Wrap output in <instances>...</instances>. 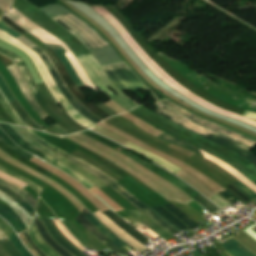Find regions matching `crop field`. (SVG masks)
Wrapping results in <instances>:
<instances>
[{
  "label": "crop field",
  "mask_w": 256,
  "mask_h": 256,
  "mask_svg": "<svg viewBox=\"0 0 256 256\" xmlns=\"http://www.w3.org/2000/svg\"><path fill=\"white\" fill-rule=\"evenodd\" d=\"M0 53L7 56L9 59H11L13 62H15L20 67V69L22 70V72L32 90L33 95L35 96V98L37 99V101L39 102L41 107H43V109L49 114V116H51L56 123H58L60 126L65 128L71 134L74 132H78L76 129H74L69 124H67L62 119H60L56 115L54 110L49 106V104H47L46 100L41 95V93L37 87V84L33 79L31 71H30L28 65L25 63V61L23 59H21L20 57H18L16 54H14L8 50H5L1 47H0Z\"/></svg>",
  "instance_id": "crop-field-4"
},
{
  "label": "crop field",
  "mask_w": 256,
  "mask_h": 256,
  "mask_svg": "<svg viewBox=\"0 0 256 256\" xmlns=\"http://www.w3.org/2000/svg\"><path fill=\"white\" fill-rule=\"evenodd\" d=\"M45 226L47 227L49 233L55 238V240L60 243L64 248H66L69 252H71L75 256H83L78 251H76L74 248H72L66 240L56 231V229L51 224L50 220H43Z\"/></svg>",
  "instance_id": "crop-field-23"
},
{
  "label": "crop field",
  "mask_w": 256,
  "mask_h": 256,
  "mask_svg": "<svg viewBox=\"0 0 256 256\" xmlns=\"http://www.w3.org/2000/svg\"><path fill=\"white\" fill-rule=\"evenodd\" d=\"M0 89L3 92V94L6 96V98H12L14 97L10 89L8 88L7 84L3 80V78L0 75ZM13 108L16 110L17 114L24 120V122L28 125H30L31 128L37 129V130H43L40 128L36 123H34L29 116L26 114V112L21 108V106L17 103L16 99H9L8 100ZM44 131V130H43Z\"/></svg>",
  "instance_id": "crop-field-14"
},
{
  "label": "crop field",
  "mask_w": 256,
  "mask_h": 256,
  "mask_svg": "<svg viewBox=\"0 0 256 256\" xmlns=\"http://www.w3.org/2000/svg\"><path fill=\"white\" fill-rule=\"evenodd\" d=\"M68 30H70L79 40H81L88 48L91 49H101L87 34H85L81 29L72 24L63 16L54 18Z\"/></svg>",
  "instance_id": "crop-field-16"
},
{
  "label": "crop field",
  "mask_w": 256,
  "mask_h": 256,
  "mask_svg": "<svg viewBox=\"0 0 256 256\" xmlns=\"http://www.w3.org/2000/svg\"><path fill=\"white\" fill-rule=\"evenodd\" d=\"M234 185L237 186L242 192H244L251 199L256 196L254 192H252L249 188L244 186L242 183L237 182V183H234Z\"/></svg>",
  "instance_id": "crop-field-38"
},
{
  "label": "crop field",
  "mask_w": 256,
  "mask_h": 256,
  "mask_svg": "<svg viewBox=\"0 0 256 256\" xmlns=\"http://www.w3.org/2000/svg\"><path fill=\"white\" fill-rule=\"evenodd\" d=\"M53 222V220H51ZM54 226L57 228V226L55 225V223L53 222ZM58 230V228H57ZM59 231V230H58ZM60 232V231H59ZM62 235V234H61ZM63 236V235H62ZM64 237V236H63ZM65 238V237H64ZM66 239V238H65ZM67 240V239H66ZM68 242H70L69 240H67ZM71 243V242H70ZM72 244V243H71ZM74 247H76L74 244H72ZM77 248V247H76ZM79 251H81L79 248H77ZM82 252V251H81ZM83 253V252H82ZM84 254V253H83ZM85 255V254H84ZM87 256V255H85Z\"/></svg>",
  "instance_id": "crop-field-50"
},
{
  "label": "crop field",
  "mask_w": 256,
  "mask_h": 256,
  "mask_svg": "<svg viewBox=\"0 0 256 256\" xmlns=\"http://www.w3.org/2000/svg\"><path fill=\"white\" fill-rule=\"evenodd\" d=\"M4 22H6L8 25H10L11 27H13L14 29H16L17 31H19L20 33L24 34L25 31L24 29H22L21 27H19L17 24H15L11 19H9L6 15H4V17L2 18Z\"/></svg>",
  "instance_id": "crop-field-40"
},
{
  "label": "crop field",
  "mask_w": 256,
  "mask_h": 256,
  "mask_svg": "<svg viewBox=\"0 0 256 256\" xmlns=\"http://www.w3.org/2000/svg\"><path fill=\"white\" fill-rule=\"evenodd\" d=\"M226 253V252H225ZM227 255H229L228 253H226ZM230 256V255H229Z\"/></svg>",
  "instance_id": "crop-field-55"
},
{
  "label": "crop field",
  "mask_w": 256,
  "mask_h": 256,
  "mask_svg": "<svg viewBox=\"0 0 256 256\" xmlns=\"http://www.w3.org/2000/svg\"><path fill=\"white\" fill-rule=\"evenodd\" d=\"M193 254L194 256H203L200 250H196L195 252H193Z\"/></svg>",
  "instance_id": "crop-field-52"
},
{
  "label": "crop field",
  "mask_w": 256,
  "mask_h": 256,
  "mask_svg": "<svg viewBox=\"0 0 256 256\" xmlns=\"http://www.w3.org/2000/svg\"><path fill=\"white\" fill-rule=\"evenodd\" d=\"M222 197H224L227 201H229L231 204L238 201L236 198H234L230 193L226 192H222L219 193Z\"/></svg>",
  "instance_id": "crop-field-43"
},
{
  "label": "crop field",
  "mask_w": 256,
  "mask_h": 256,
  "mask_svg": "<svg viewBox=\"0 0 256 256\" xmlns=\"http://www.w3.org/2000/svg\"><path fill=\"white\" fill-rule=\"evenodd\" d=\"M102 222H104L110 229L117 233L121 238H123L128 244L139 250L140 252L146 250L147 248L140 244L137 240L131 237L128 233L122 230L119 226L108 219L102 212L98 211L94 213Z\"/></svg>",
  "instance_id": "crop-field-13"
},
{
  "label": "crop field",
  "mask_w": 256,
  "mask_h": 256,
  "mask_svg": "<svg viewBox=\"0 0 256 256\" xmlns=\"http://www.w3.org/2000/svg\"><path fill=\"white\" fill-rule=\"evenodd\" d=\"M0 171H2V172H4V173H7V174H9V175H11V176H13V177H15V178L21 180V181H24V182L30 184L31 186H33V187H34L37 191H39V192H41V191L43 190V189H41L39 186H37L36 184H34V183H32V182H30V181H28V180H26V179H24V178H22V177H20V176H18V175H16V174H14V173H12V172H10V171L4 169V168L1 167V166H0Z\"/></svg>",
  "instance_id": "crop-field-37"
},
{
  "label": "crop field",
  "mask_w": 256,
  "mask_h": 256,
  "mask_svg": "<svg viewBox=\"0 0 256 256\" xmlns=\"http://www.w3.org/2000/svg\"><path fill=\"white\" fill-rule=\"evenodd\" d=\"M44 51L46 52L47 55L50 56L51 60L53 61V63L55 64V66L57 67V69L59 70V72L61 73L62 77L64 78V80L66 81L69 89L73 92V94L91 111L93 112L95 115L101 117L103 120L110 117L109 115H107L105 112H103L101 109H99L97 106H95L93 103L92 104H86L83 101L87 98L82 92L81 90L75 85V83L73 82L70 74L68 73V71L66 70V68L64 67V65L61 63V61L58 59L57 55L48 47L46 49H44Z\"/></svg>",
  "instance_id": "crop-field-8"
},
{
  "label": "crop field",
  "mask_w": 256,
  "mask_h": 256,
  "mask_svg": "<svg viewBox=\"0 0 256 256\" xmlns=\"http://www.w3.org/2000/svg\"><path fill=\"white\" fill-rule=\"evenodd\" d=\"M53 51L58 55L59 59L62 61V63L65 65V67L67 68V70L69 71V73L71 74L72 78L74 79V81L76 82V84L78 85V87L84 85L83 82L80 80V78L78 77V75L75 73V69L73 70L70 62L68 61L66 55L64 53H66V50L63 48V46H58V45H49Z\"/></svg>",
  "instance_id": "crop-field-19"
},
{
  "label": "crop field",
  "mask_w": 256,
  "mask_h": 256,
  "mask_svg": "<svg viewBox=\"0 0 256 256\" xmlns=\"http://www.w3.org/2000/svg\"><path fill=\"white\" fill-rule=\"evenodd\" d=\"M0 214L12 223V225L15 227L18 233L27 230L21 218L14 210L8 209L0 205Z\"/></svg>",
  "instance_id": "crop-field-20"
},
{
  "label": "crop field",
  "mask_w": 256,
  "mask_h": 256,
  "mask_svg": "<svg viewBox=\"0 0 256 256\" xmlns=\"http://www.w3.org/2000/svg\"><path fill=\"white\" fill-rule=\"evenodd\" d=\"M0 199L5 201L6 203L17 205L8 195L0 191Z\"/></svg>",
  "instance_id": "crop-field-44"
},
{
  "label": "crop field",
  "mask_w": 256,
  "mask_h": 256,
  "mask_svg": "<svg viewBox=\"0 0 256 256\" xmlns=\"http://www.w3.org/2000/svg\"><path fill=\"white\" fill-rule=\"evenodd\" d=\"M233 196H235L237 199H239L233 192H231L230 190H228ZM242 203L244 202V201H242L241 199H239Z\"/></svg>",
  "instance_id": "crop-field-54"
},
{
  "label": "crop field",
  "mask_w": 256,
  "mask_h": 256,
  "mask_svg": "<svg viewBox=\"0 0 256 256\" xmlns=\"http://www.w3.org/2000/svg\"><path fill=\"white\" fill-rule=\"evenodd\" d=\"M76 219L80 221L98 240H100L110 250L129 256L126 252H124L107 237H105L98 229H96L82 214H80Z\"/></svg>",
  "instance_id": "crop-field-15"
},
{
  "label": "crop field",
  "mask_w": 256,
  "mask_h": 256,
  "mask_svg": "<svg viewBox=\"0 0 256 256\" xmlns=\"http://www.w3.org/2000/svg\"><path fill=\"white\" fill-rule=\"evenodd\" d=\"M0 102L2 103V105L4 106L5 110L8 112V114L11 116V118L18 124L21 126H25L27 127L17 116V114L13 111V109L10 107V105L8 104L6 98L4 97V95L1 93L0 91Z\"/></svg>",
  "instance_id": "crop-field-34"
},
{
  "label": "crop field",
  "mask_w": 256,
  "mask_h": 256,
  "mask_svg": "<svg viewBox=\"0 0 256 256\" xmlns=\"http://www.w3.org/2000/svg\"><path fill=\"white\" fill-rule=\"evenodd\" d=\"M10 126L27 143L30 144V143L34 142L18 126H13V125H10ZM31 145L36 147L38 150H40V151H42V152H44V153L54 157L56 160H59V161L65 163L66 165L70 166L71 168H73L74 170H76L77 172H79L80 174L85 176L87 179H89L93 184H95L100 189L105 188V187L108 186L102 180H100L98 177H96L95 175H93L89 171H87V170L83 169L82 167L74 164L73 162L69 161L68 159L64 158L63 156H61V155H59V154L49 150L48 148L44 147L43 145L38 144L36 141L34 143H32Z\"/></svg>",
  "instance_id": "crop-field-7"
},
{
  "label": "crop field",
  "mask_w": 256,
  "mask_h": 256,
  "mask_svg": "<svg viewBox=\"0 0 256 256\" xmlns=\"http://www.w3.org/2000/svg\"><path fill=\"white\" fill-rule=\"evenodd\" d=\"M53 127L54 130H56L58 133H60L61 135H69L65 130H63L61 127H59L58 125H51Z\"/></svg>",
  "instance_id": "crop-field-47"
},
{
  "label": "crop field",
  "mask_w": 256,
  "mask_h": 256,
  "mask_svg": "<svg viewBox=\"0 0 256 256\" xmlns=\"http://www.w3.org/2000/svg\"><path fill=\"white\" fill-rule=\"evenodd\" d=\"M164 207H166L168 210H170L173 214H175L178 218H180L183 222H185L192 229L199 226V224H197L195 221H193L191 218H189L187 215H185L183 212H181L179 209H177L171 203Z\"/></svg>",
  "instance_id": "crop-field-30"
},
{
  "label": "crop field",
  "mask_w": 256,
  "mask_h": 256,
  "mask_svg": "<svg viewBox=\"0 0 256 256\" xmlns=\"http://www.w3.org/2000/svg\"><path fill=\"white\" fill-rule=\"evenodd\" d=\"M100 108H102L104 111H106L108 114L114 116L117 115V113H115L113 110H111L109 107H107L105 104L103 103H98L97 104Z\"/></svg>",
  "instance_id": "crop-field-45"
},
{
  "label": "crop field",
  "mask_w": 256,
  "mask_h": 256,
  "mask_svg": "<svg viewBox=\"0 0 256 256\" xmlns=\"http://www.w3.org/2000/svg\"><path fill=\"white\" fill-rule=\"evenodd\" d=\"M110 78L122 90L148 89L142 81L137 78L122 59L101 64Z\"/></svg>",
  "instance_id": "crop-field-5"
},
{
  "label": "crop field",
  "mask_w": 256,
  "mask_h": 256,
  "mask_svg": "<svg viewBox=\"0 0 256 256\" xmlns=\"http://www.w3.org/2000/svg\"><path fill=\"white\" fill-rule=\"evenodd\" d=\"M0 183L14 189L17 193L21 194L34 208H36L37 201L34 198H32L28 193H26L24 190L2 179H0Z\"/></svg>",
  "instance_id": "crop-field-33"
},
{
  "label": "crop field",
  "mask_w": 256,
  "mask_h": 256,
  "mask_svg": "<svg viewBox=\"0 0 256 256\" xmlns=\"http://www.w3.org/2000/svg\"><path fill=\"white\" fill-rule=\"evenodd\" d=\"M84 216L92 215L87 209L82 212Z\"/></svg>",
  "instance_id": "crop-field-53"
},
{
  "label": "crop field",
  "mask_w": 256,
  "mask_h": 256,
  "mask_svg": "<svg viewBox=\"0 0 256 256\" xmlns=\"http://www.w3.org/2000/svg\"><path fill=\"white\" fill-rule=\"evenodd\" d=\"M115 243L118 244L121 248H123L126 245L118 239L115 241Z\"/></svg>",
  "instance_id": "crop-field-51"
},
{
  "label": "crop field",
  "mask_w": 256,
  "mask_h": 256,
  "mask_svg": "<svg viewBox=\"0 0 256 256\" xmlns=\"http://www.w3.org/2000/svg\"><path fill=\"white\" fill-rule=\"evenodd\" d=\"M0 189H2L3 191H5L7 194H9L13 199H15L19 204H21L25 210L30 214V216L33 218L34 215V208L31 207L20 195L16 194L15 192H13L12 190L1 186L0 185Z\"/></svg>",
  "instance_id": "crop-field-29"
},
{
  "label": "crop field",
  "mask_w": 256,
  "mask_h": 256,
  "mask_svg": "<svg viewBox=\"0 0 256 256\" xmlns=\"http://www.w3.org/2000/svg\"><path fill=\"white\" fill-rule=\"evenodd\" d=\"M24 235H25V237L27 238V240L29 241V243L33 246V248L38 252V254H39L40 256H46V255H45L41 250H39V249L37 248V246L33 243V241L31 240V237H30L28 231L25 232Z\"/></svg>",
  "instance_id": "crop-field-42"
},
{
  "label": "crop field",
  "mask_w": 256,
  "mask_h": 256,
  "mask_svg": "<svg viewBox=\"0 0 256 256\" xmlns=\"http://www.w3.org/2000/svg\"><path fill=\"white\" fill-rule=\"evenodd\" d=\"M96 228H98L105 236H107L113 242L117 239L112 233H110L104 225L97 220L94 216L86 217Z\"/></svg>",
  "instance_id": "crop-field-35"
},
{
  "label": "crop field",
  "mask_w": 256,
  "mask_h": 256,
  "mask_svg": "<svg viewBox=\"0 0 256 256\" xmlns=\"http://www.w3.org/2000/svg\"><path fill=\"white\" fill-rule=\"evenodd\" d=\"M0 256H10L6 249L0 243Z\"/></svg>",
  "instance_id": "crop-field-48"
},
{
  "label": "crop field",
  "mask_w": 256,
  "mask_h": 256,
  "mask_svg": "<svg viewBox=\"0 0 256 256\" xmlns=\"http://www.w3.org/2000/svg\"><path fill=\"white\" fill-rule=\"evenodd\" d=\"M157 213H159L162 217H164L166 220H168L170 223H172L174 226H176L178 229H186L188 228L184 223H182L180 220H178L176 217H174L172 214H170L168 211H166L163 207L160 208H154Z\"/></svg>",
  "instance_id": "crop-field-28"
},
{
  "label": "crop field",
  "mask_w": 256,
  "mask_h": 256,
  "mask_svg": "<svg viewBox=\"0 0 256 256\" xmlns=\"http://www.w3.org/2000/svg\"><path fill=\"white\" fill-rule=\"evenodd\" d=\"M0 138L6 143V145L11 148L13 151L17 152L18 154L28 158L29 160L32 159L34 156L28 154L21 148L17 147L15 143L11 141V139L1 130L0 128Z\"/></svg>",
  "instance_id": "crop-field-31"
},
{
  "label": "crop field",
  "mask_w": 256,
  "mask_h": 256,
  "mask_svg": "<svg viewBox=\"0 0 256 256\" xmlns=\"http://www.w3.org/2000/svg\"><path fill=\"white\" fill-rule=\"evenodd\" d=\"M93 57L90 53H88L77 56V59L89 74L97 88L128 111L140 106L112 82L109 76ZM107 86L112 88L118 95L112 92Z\"/></svg>",
  "instance_id": "crop-field-3"
},
{
  "label": "crop field",
  "mask_w": 256,
  "mask_h": 256,
  "mask_svg": "<svg viewBox=\"0 0 256 256\" xmlns=\"http://www.w3.org/2000/svg\"><path fill=\"white\" fill-rule=\"evenodd\" d=\"M65 17L68 18L72 23L77 25L79 28H81L85 33H87L93 40H95L100 45L101 48L110 45L106 39L101 37L92 27H90L88 24H86L74 14L65 15Z\"/></svg>",
  "instance_id": "crop-field-17"
},
{
  "label": "crop field",
  "mask_w": 256,
  "mask_h": 256,
  "mask_svg": "<svg viewBox=\"0 0 256 256\" xmlns=\"http://www.w3.org/2000/svg\"><path fill=\"white\" fill-rule=\"evenodd\" d=\"M16 211V210H15ZM20 216L21 218L23 219L25 225L27 226V228L29 227L31 221L29 220V218L27 216H25L23 213L19 212V211H16ZM29 229V228H28Z\"/></svg>",
  "instance_id": "crop-field-46"
},
{
  "label": "crop field",
  "mask_w": 256,
  "mask_h": 256,
  "mask_svg": "<svg viewBox=\"0 0 256 256\" xmlns=\"http://www.w3.org/2000/svg\"><path fill=\"white\" fill-rule=\"evenodd\" d=\"M10 70L11 74L17 81L22 93L24 94L25 98L29 101V103L34 107V109L38 112V114L42 117L43 120L49 118L47 114L42 110L40 105L37 103L36 99L30 92L21 72L19 71L18 67L14 65L7 66Z\"/></svg>",
  "instance_id": "crop-field-12"
},
{
  "label": "crop field",
  "mask_w": 256,
  "mask_h": 256,
  "mask_svg": "<svg viewBox=\"0 0 256 256\" xmlns=\"http://www.w3.org/2000/svg\"><path fill=\"white\" fill-rule=\"evenodd\" d=\"M229 241L236 246L235 248L229 250V252L234 256H256V254L250 251L246 246H244L237 239L233 238Z\"/></svg>",
  "instance_id": "crop-field-27"
},
{
  "label": "crop field",
  "mask_w": 256,
  "mask_h": 256,
  "mask_svg": "<svg viewBox=\"0 0 256 256\" xmlns=\"http://www.w3.org/2000/svg\"><path fill=\"white\" fill-rule=\"evenodd\" d=\"M101 14L122 36L128 35L124 27L102 6L89 5Z\"/></svg>",
  "instance_id": "crop-field-24"
},
{
  "label": "crop field",
  "mask_w": 256,
  "mask_h": 256,
  "mask_svg": "<svg viewBox=\"0 0 256 256\" xmlns=\"http://www.w3.org/2000/svg\"><path fill=\"white\" fill-rule=\"evenodd\" d=\"M103 213L108 218H110L112 221H114L117 225H119L121 228H123L126 232H128L130 235H132L135 239H137L143 245L149 243L147 241L148 238H146L144 235H142L140 232H138L136 229H134L132 226H130L127 222H125L122 218H120L118 215H116L111 210L103 212Z\"/></svg>",
  "instance_id": "crop-field-18"
},
{
  "label": "crop field",
  "mask_w": 256,
  "mask_h": 256,
  "mask_svg": "<svg viewBox=\"0 0 256 256\" xmlns=\"http://www.w3.org/2000/svg\"><path fill=\"white\" fill-rule=\"evenodd\" d=\"M159 138H161V139H163V140H166V141H168V142H170V143H173V144L182 146V147H184V148H186V149H188V150H190V151H192V152H195V153H197V154L203 156V155L201 154V152L199 151V149H197V148H195V147H193V146H190V145H188V144H186V143H184V142H182V141H180V140H177V139H175V138H173V137H171V136H169V135H167V134H165V133H163V132L160 134Z\"/></svg>",
  "instance_id": "crop-field-32"
},
{
  "label": "crop field",
  "mask_w": 256,
  "mask_h": 256,
  "mask_svg": "<svg viewBox=\"0 0 256 256\" xmlns=\"http://www.w3.org/2000/svg\"><path fill=\"white\" fill-rule=\"evenodd\" d=\"M22 128V127H20ZM27 134H29L32 138H34L36 141L40 142L41 144L45 145L46 147L54 150L55 152L63 155L64 157L68 158L69 160L77 163L78 165L84 167L85 169L89 170L96 176H98L100 179H102L104 182H106L108 185H110L113 189H115L119 194H121L125 199H127L130 203H132L134 206L141 209L144 213H146L153 221H155L158 225H160L162 228H164L166 231L171 233L172 235L180 232L177 229H175L172 225H170L166 220H164L162 217H160L158 214H156L154 211H152L150 208H148L145 204H143L140 200L136 199L132 194H130L126 189H124L122 186H120L118 183L110 179L108 176L104 175L100 171L96 170L95 168L91 167L87 163L83 162L82 160L58 149L57 147L51 145L50 143L42 140L34 131L22 128Z\"/></svg>",
  "instance_id": "crop-field-1"
},
{
  "label": "crop field",
  "mask_w": 256,
  "mask_h": 256,
  "mask_svg": "<svg viewBox=\"0 0 256 256\" xmlns=\"http://www.w3.org/2000/svg\"><path fill=\"white\" fill-rule=\"evenodd\" d=\"M194 200L197 201L200 205H202L204 208H206L212 213L216 210H219L216 206H214L212 203H210L207 199H205L200 194L195 196Z\"/></svg>",
  "instance_id": "crop-field-36"
},
{
  "label": "crop field",
  "mask_w": 256,
  "mask_h": 256,
  "mask_svg": "<svg viewBox=\"0 0 256 256\" xmlns=\"http://www.w3.org/2000/svg\"><path fill=\"white\" fill-rule=\"evenodd\" d=\"M227 250L234 247V245H232L229 241L225 242L224 244H222Z\"/></svg>",
  "instance_id": "crop-field-49"
},
{
  "label": "crop field",
  "mask_w": 256,
  "mask_h": 256,
  "mask_svg": "<svg viewBox=\"0 0 256 256\" xmlns=\"http://www.w3.org/2000/svg\"><path fill=\"white\" fill-rule=\"evenodd\" d=\"M45 62L48 69L50 70L54 80L56 81L59 89L64 94V96L68 99V101L78 110L80 111L84 116H86L89 120L93 121L94 123H99L100 120L98 117H96L93 113H91L88 109H86L84 106H82L76 98L68 91L66 85L64 84L61 76L59 75L56 68L53 66L47 55L38 47L32 48Z\"/></svg>",
  "instance_id": "crop-field-6"
},
{
  "label": "crop field",
  "mask_w": 256,
  "mask_h": 256,
  "mask_svg": "<svg viewBox=\"0 0 256 256\" xmlns=\"http://www.w3.org/2000/svg\"><path fill=\"white\" fill-rule=\"evenodd\" d=\"M0 29L11 34L12 36H14L15 38L21 36L19 33H17L16 31H14L13 29H11L10 27H8L2 20L0 21Z\"/></svg>",
  "instance_id": "crop-field-39"
},
{
  "label": "crop field",
  "mask_w": 256,
  "mask_h": 256,
  "mask_svg": "<svg viewBox=\"0 0 256 256\" xmlns=\"http://www.w3.org/2000/svg\"><path fill=\"white\" fill-rule=\"evenodd\" d=\"M0 229L6 233L10 230H12L8 224H6L4 222L3 219L0 218ZM0 230V241L1 243L3 244V246L7 249V251L10 253L11 256H32L29 251L21 244V242L18 240L15 232L12 230L8 233H6V235L9 237V239L13 242V244L16 246V248L19 250V253L18 250L15 248V246L12 244V242L8 239V237Z\"/></svg>",
  "instance_id": "crop-field-10"
},
{
  "label": "crop field",
  "mask_w": 256,
  "mask_h": 256,
  "mask_svg": "<svg viewBox=\"0 0 256 256\" xmlns=\"http://www.w3.org/2000/svg\"><path fill=\"white\" fill-rule=\"evenodd\" d=\"M0 127L13 139L14 142L19 144L24 149L34 153L35 155H40L42 152L38 151L37 149L29 146L28 144L24 143L21 138L10 128L8 124L0 123Z\"/></svg>",
  "instance_id": "crop-field-26"
},
{
  "label": "crop field",
  "mask_w": 256,
  "mask_h": 256,
  "mask_svg": "<svg viewBox=\"0 0 256 256\" xmlns=\"http://www.w3.org/2000/svg\"><path fill=\"white\" fill-rule=\"evenodd\" d=\"M39 86V89L41 90L43 96L48 101L50 106L56 111V113L61 117L63 120H65L67 123H69L71 126L76 128L79 131L86 130L87 128L79 125L76 123L72 117H70L67 112L60 106L56 98L53 96V94L50 92L49 88L47 87L46 83H37Z\"/></svg>",
  "instance_id": "crop-field-11"
},
{
  "label": "crop field",
  "mask_w": 256,
  "mask_h": 256,
  "mask_svg": "<svg viewBox=\"0 0 256 256\" xmlns=\"http://www.w3.org/2000/svg\"><path fill=\"white\" fill-rule=\"evenodd\" d=\"M40 234L42 235V237L44 238V240L50 244L53 249L55 251H57L60 255L62 256H72L69 252H67L63 247H61L59 244H57L52 237L50 236V234L48 233L46 227L42 224V222L38 219L34 220Z\"/></svg>",
  "instance_id": "crop-field-21"
},
{
  "label": "crop field",
  "mask_w": 256,
  "mask_h": 256,
  "mask_svg": "<svg viewBox=\"0 0 256 256\" xmlns=\"http://www.w3.org/2000/svg\"><path fill=\"white\" fill-rule=\"evenodd\" d=\"M165 99H166V98H165ZM165 99L161 100L165 105L171 107V108L174 109L175 111H177V112H179V113H181V114L187 116V117L190 118L191 120H193V121H195V122H197V123H199V124H201V125H203V126L209 128V129H212V130H214V131H217V132H220V133H222V134H225V135H227V136H229V137H231V138H234V139H236V140L242 142L243 144H245L246 146H248V147H250V148L253 147V146L256 144V142L253 141V140H251V139H248V138H246V137H244V136H241V135H239V134H236V133H234V132H232V131H229V130H227V129H225V128H222V127H220V126H218V125H215V124H213V123H210L211 121L208 122V121H206V120H203L204 118L201 119V118H199V117H197V116L191 114L190 112L184 110L183 108H181V107H179V106H177V105H175V104H173V103H171V102H169V101H167V100H165Z\"/></svg>",
  "instance_id": "crop-field-9"
},
{
  "label": "crop field",
  "mask_w": 256,
  "mask_h": 256,
  "mask_svg": "<svg viewBox=\"0 0 256 256\" xmlns=\"http://www.w3.org/2000/svg\"><path fill=\"white\" fill-rule=\"evenodd\" d=\"M31 237L35 244L47 255V256H59L56 252H54L39 236V233L34 225L32 224L31 229L29 230Z\"/></svg>",
  "instance_id": "crop-field-25"
},
{
  "label": "crop field",
  "mask_w": 256,
  "mask_h": 256,
  "mask_svg": "<svg viewBox=\"0 0 256 256\" xmlns=\"http://www.w3.org/2000/svg\"><path fill=\"white\" fill-rule=\"evenodd\" d=\"M158 107L157 113L158 115L162 116L163 118L182 126L192 132H195L205 138H208L230 150L235 151L236 153L244 156L246 159L251 161L253 164L256 165V156L251 152L250 149L245 147L244 145L233 141L229 138H226L216 132L208 131L197 124L187 120L185 117L167 109L163 104L160 102L155 104Z\"/></svg>",
  "instance_id": "crop-field-2"
},
{
  "label": "crop field",
  "mask_w": 256,
  "mask_h": 256,
  "mask_svg": "<svg viewBox=\"0 0 256 256\" xmlns=\"http://www.w3.org/2000/svg\"><path fill=\"white\" fill-rule=\"evenodd\" d=\"M128 212H130L132 215H134L136 218H138L140 221L146 224L149 228H151L154 232H156L166 241L169 238L173 237L169 233H167L165 230H163L160 226H158L156 223H154L151 219H149L147 216L141 213L140 211H128Z\"/></svg>",
  "instance_id": "crop-field-22"
},
{
  "label": "crop field",
  "mask_w": 256,
  "mask_h": 256,
  "mask_svg": "<svg viewBox=\"0 0 256 256\" xmlns=\"http://www.w3.org/2000/svg\"><path fill=\"white\" fill-rule=\"evenodd\" d=\"M227 188L232 190L234 193H236L238 196H240L246 203L251 201L248 197H246L240 190L235 188L232 184L229 185Z\"/></svg>",
  "instance_id": "crop-field-41"
}]
</instances>
